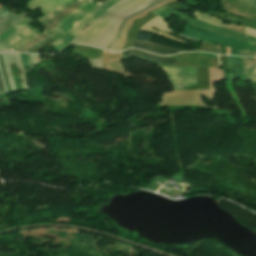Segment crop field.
Masks as SVG:
<instances>
[{
    "label": "crop field",
    "instance_id": "crop-field-1",
    "mask_svg": "<svg viewBox=\"0 0 256 256\" xmlns=\"http://www.w3.org/2000/svg\"><path fill=\"white\" fill-rule=\"evenodd\" d=\"M75 1L76 0H30L28 7L33 11L39 8L43 10L44 15L37 19L43 25ZM84 1L86 2L63 18L54 29L49 31L45 29L43 33L56 40L50 46L60 51L66 48L67 44L86 25L97 19L107 8L111 7L119 0H107L102 4L94 0ZM43 33L29 25L3 42L17 51Z\"/></svg>",
    "mask_w": 256,
    "mask_h": 256
},
{
    "label": "crop field",
    "instance_id": "crop-field-2",
    "mask_svg": "<svg viewBox=\"0 0 256 256\" xmlns=\"http://www.w3.org/2000/svg\"><path fill=\"white\" fill-rule=\"evenodd\" d=\"M151 0H126L112 9L102 21L92 28L79 42L105 48L114 38L121 21L128 15L147 6Z\"/></svg>",
    "mask_w": 256,
    "mask_h": 256
},
{
    "label": "crop field",
    "instance_id": "crop-field-3",
    "mask_svg": "<svg viewBox=\"0 0 256 256\" xmlns=\"http://www.w3.org/2000/svg\"><path fill=\"white\" fill-rule=\"evenodd\" d=\"M152 12L156 13L157 15L161 16L162 18H164L166 20L169 19L171 16H173L176 13L181 16V20H180L181 23L188 24L191 27H194V28H197L200 30H204V31L214 32V33H218V34H224V35H228L231 37L247 40L246 35L243 33H239V32L231 31L228 29L209 25V24L204 23L198 19L184 15L166 5L157 10H154Z\"/></svg>",
    "mask_w": 256,
    "mask_h": 256
},
{
    "label": "crop field",
    "instance_id": "crop-field-4",
    "mask_svg": "<svg viewBox=\"0 0 256 256\" xmlns=\"http://www.w3.org/2000/svg\"><path fill=\"white\" fill-rule=\"evenodd\" d=\"M184 29L186 30L182 33L184 35L212 43L224 44L231 47V55H239V48L246 49L248 51H256L255 45L245 41L209 32H201L188 26H186Z\"/></svg>",
    "mask_w": 256,
    "mask_h": 256
},
{
    "label": "crop field",
    "instance_id": "crop-field-5",
    "mask_svg": "<svg viewBox=\"0 0 256 256\" xmlns=\"http://www.w3.org/2000/svg\"><path fill=\"white\" fill-rule=\"evenodd\" d=\"M159 67L166 71L174 90H180L189 85L196 84V67H180L174 65L169 67L159 65Z\"/></svg>",
    "mask_w": 256,
    "mask_h": 256
},
{
    "label": "crop field",
    "instance_id": "crop-field-6",
    "mask_svg": "<svg viewBox=\"0 0 256 256\" xmlns=\"http://www.w3.org/2000/svg\"><path fill=\"white\" fill-rule=\"evenodd\" d=\"M223 10L256 21V0H222Z\"/></svg>",
    "mask_w": 256,
    "mask_h": 256
},
{
    "label": "crop field",
    "instance_id": "crop-field-7",
    "mask_svg": "<svg viewBox=\"0 0 256 256\" xmlns=\"http://www.w3.org/2000/svg\"><path fill=\"white\" fill-rule=\"evenodd\" d=\"M25 13L15 14L14 12L10 11L6 7L0 8V34L4 32L5 30L12 27L15 23L25 18Z\"/></svg>",
    "mask_w": 256,
    "mask_h": 256
},
{
    "label": "crop field",
    "instance_id": "crop-field-8",
    "mask_svg": "<svg viewBox=\"0 0 256 256\" xmlns=\"http://www.w3.org/2000/svg\"><path fill=\"white\" fill-rule=\"evenodd\" d=\"M150 27H153V28H156V29H159V30H162L164 32L172 34L173 31H171L169 29V24L166 23L162 18H160L158 16L156 18H154L152 21L147 22L141 29L145 30V31H148V32L160 34V35H163V36H166V37L178 40V41H182V40H179V39H177V38H175V37H173L169 34L160 32V31L152 29ZM182 42H184V41H182ZM187 43H191V42H187Z\"/></svg>",
    "mask_w": 256,
    "mask_h": 256
},
{
    "label": "crop field",
    "instance_id": "crop-field-9",
    "mask_svg": "<svg viewBox=\"0 0 256 256\" xmlns=\"http://www.w3.org/2000/svg\"><path fill=\"white\" fill-rule=\"evenodd\" d=\"M134 47L147 50L152 53L161 54V55H170V54L181 52V50L171 49V48L159 46L156 44H152V43L140 41V40H137Z\"/></svg>",
    "mask_w": 256,
    "mask_h": 256
},
{
    "label": "crop field",
    "instance_id": "crop-field-10",
    "mask_svg": "<svg viewBox=\"0 0 256 256\" xmlns=\"http://www.w3.org/2000/svg\"><path fill=\"white\" fill-rule=\"evenodd\" d=\"M126 56L140 57V58L152 60V61L159 62V63H165V64H173L176 61H178L177 59H171V58H166V57H162V56H157V55H154V54H151L148 52L139 51V50H135V49H129L126 53Z\"/></svg>",
    "mask_w": 256,
    "mask_h": 256
},
{
    "label": "crop field",
    "instance_id": "crop-field-11",
    "mask_svg": "<svg viewBox=\"0 0 256 256\" xmlns=\"http://www.w3.org/2000/svg\"><path fill=\"white\" fill-rule=\"evenodd\" d=\"M244 73L247 80L256 82V61L254 57H241Z\"/></svg>",
    "mask_w": 256,
    "mask_h": 256
},
{
    "label": "crop field",
    "instance_id": "crop-field-12",
    "mask_svg": "<svg viewBox=\"0 0 256 256\" xmlns=\"http://www.w3.org/2000/svg\"><path fill=\"white\" fill-rule=\"evenodd\" d=\"M163 1H165V0H153V1L149 2V4H151L150 6L144 8V9H142V10L132 14L131 16L127 17L126 19H124L122 21V23L120 24L119 28H118V31H117L116 36H115V39L106 47V49L111 50L112 47L118 42L119 37L121 35V32L123 30V27H124L125 23L127 22V20H129L131 17H133V16H135V15L141 13V12H144V11L154 7L155 5H157V4H159V3L163 2Z\"/></svg>",
    "mask_w": 256,
    "mask_h": 256
},
{
    "label": "crop field",
    "instance_id": "crop-field-13",
    "mask_svg": "<svg viewBox=\"0 0 256 256\" xmlns=\"http://www.w3.org/2000/svg\"><path fill=\"white\" fill-rule=\"evenodd\" d=\"M33 22L34 21L29 16L26 17L25 19H23L19 23L15 24L12 28H10L9 30H7L4 33H2L0 35V40H2V41L5 40L6 38L11 36L12 34L16 33L17 31H19L20 29H22L26 25H28L30 23H33Z\"/></svg>",
    "mask_w": 256,
    "mask_h": 256
},
{
    "label": "crop field",
    "instance_id": "crop-field-14",
    "mask_svg": "<svg viewBox=\"0 0 256 256\" xmlns=\"http://www.w3.org/2000/svg\"><path fill=\"white\" fill-rule=\"evenodd\" d=\"M83 2L84 1H82V0H77L72 6L65 9L62 13H60L58 16H56L54 19H52L50 22H48L46 25H44L46 27V29L49 30L50 28H52L54 25H56V23L60 19L65 17L67 14H69L71 11H73L75 8H77L79 5H81Z\"/></svg>",
    "mask_w": 256,
    "mask_h": 256
},
{
    "label": "crop field",
    "instance_id": "crop-field-15",
    "mask_svg": "<svg viewBox=\"0 0 256 256\" xmlns=\"http://www.w3.org/2000/svg\"><path fill=\"white\" fill-rule=\"evenodd\" d=\"M123 1H125V0H121L120 2H118V3H116L114 6H112L111 8L107 9V10L103 13V15H102L100 18H98L97 20H95L92 24H90V25L87 26L82 32H80V33L69 43V45H70V44H73V43H76L79 39H81L93 26H95V25L104 17V15H105L108 11H110L112 8H114L115 6H117L118 4H120V3L123 2ZM69 45H68V46H69Z\"/></svg>",
    "mask_w": 256,
    "mask_h": 256
},
{
    "label": "crop field",
    "instance_id": "crop-field-16",
    "mask_svg": "<svg viewBox=\"0 0 256 256\" xmlns=\"http://www.w3.org/2000/svg\"><path fill=\"white\" fill-rule=\"evenodd\" d=\"M194 15H196V17L204 22L210 23L212 25H217V26H222L224 27V24L222 23V21L220 19H217L215 17L209 16L207 14H201L199 12H195Z\"/></svg>",
    "mask_w": 256,
    "mask_h": 256
},
{
    "label": "crop field",
    "instance_id": "crop-field-17",
    "mask_svg": "<svg viewBox=\"0 0 256 256\" xmlns=\"http://www.w3.org/2000/svg\"><path fill=\"white\" fill-rule=\"evenodd\" d=\"M48 38L46 35H41L40 37H38L36 40H34L33 42H31L30 44H28L27 46H25L24 48L20 49L19 52H30L32 51L34 48H36L37 46H39L40 44L44 43L45 41H47Z\"/></svg>",
    "mask_w": 256,
    "mask_h": 256
},
{
    "label": "crop field",
    "instance_id": "crop-field-18",
    "mask_svg": "<svg viewBox=\"0 0 256 256\" xmlns=\"http://www.w3.org/2000/svg\"><path fill=\"white\" fill-rule=\"evenodd\" d=\"M209 14L215 15V16L220 17V18H223L224 16H227V18H229L230 21L237 22V23H240V24L244 25L243 20L234 16V15H230V14H226V13H222V12L214 11V10H211L209 12Z\"/></svg>",
    "mask_w": 256,
    "mask_h": 256
},
{
    "label": "crop field",
    "instance_id": "crop-field-19",
    "mask_svg": "<svg viewBox=\"0 0 256 256\" xmlns=\"http://www.w3.org/2000/svg\"><path fill=\"white\" fill-rule=\"evenodd\" d=\"M232 58H233V66H234V75H235V77L239 78V73H240L241 80L246 81L245 77H244V74H243L240 57H236L237 62H238V66H239V73H238L237 64H236V58L234 56H232Z\"/></svg>",
    "mask_w": 256,
    "mask_h": 256
},
{
    "label": "crop field",
    "instance_id": "crop-field-20",
    "mask_svg": "<svg viewBox=\"0 0 256 256\" xmlns=\"http://www.w3.org/2000/svg\"><path fill=\"white\" fill-rule=\"evenodd\" d=\"M226 58H227V63H228V68H229V77H230V81H231L234 79L233 71L231 70L232 59H231V56H226Z\"/></svg>",
    "mask_w": 256,
    "mask_h": 256
},
{
    "label": "crop field",
    "instance_id": "crop-field-21",
    "mask_svg": "<svg viewBox=\"0 0 256 256\" xmlns=\"http://www.w3.org/2000/svg\"><path fill=\"white\" fill-rule=\"evenodd\" d=\"M21 55H22L25 71H29L30 70V66H29V62H28V59H27V55L23 54V53H21Z\"/></svg>",
    "mask_w": 256,
    "mask_h": 256
},
{
    "label": "crop field",
    "instance_id": "crop-field-22",
    "mask_svg": "<svg viewBox=\"0 0 256 256\" xmlns=\"http://www.w3.org/2000/svg\"><path fill=\"white\" fill-rule=\"evenodd\" d=\"M244 21H245L246 26L256 30V22L245 20V19H244Z\"/></svg>",
    "mask_w": 256,
    "mask_h": 256
},
{
    "label": "crop field",
    "instance_id": "crop-field-23",
    "mask_svg": "<svg viewBox=\"0 0 256 256\" xmlns=\"http://www.w3.org/2000/svg\"><path fill=\"white\" fill-rule=\"evenodd\" d=\"M240 55L243 56H254V52H247L240 49Z\"/></svg>",
    "mask_w": 256,
    "mask_h": 256
},
{
    "label": "crop field",
    "instance_id": "crop-field-24",
    "mask_svg": "<svg viewBox=\"0 0 256 256\" xmlns=\"http://www.w3.org/2000/svg\"><path fill=\"white\" fill-rule=\"evenodd\" d=\"M246 32H247L248 35L256 37V31L255 30H252V29H249V28L246 27Z\"/></svg>",
    "mask_w": 256,
    "mask_h": 256
},
{
    "label": "crop field",
    "instance_id": "crop-field-25",
    "mask_svg": "<svg viewBox=\"0 0 256 256\" xmlns=\"http://www.w3.org/2000/svg\"><path fill=\"white\" fill-rule=\"evenodd\" d=\"M199 55H205V56H208V57L216 58L215 54H212V53L201 52Z\"/></svg>",
    "mask_w": 256,
    "mask_h": 256
},
{
    "label": "crop field",
    "instance_id": "crop-field-26",
    "mask_svg": "<svg viewBox=\"0 0 256 256\" xmlns=\"http://www.w3.org/2000/svg\"><path fill=\"white\" fill-rule=\"evenodd\" d=\"M27 55H28V59H29V62H30L31 70H35V67H34V64L32 62V59H31L30 55L29 54H27Z\"/></svg>",
    "mask_w": 256,
    "mask_h": 256
},
{
    "label": "crop field",
    "instance_id": "crop-field-27",
    "mask_svg": "<svg viewBox=\"0 0 256 256\" xmlns=\"http://www.w3.org/2000/svg\"><path fill=\"white\" fill-rule=\"evenodd\" d=\"M0 46L6 50H12L10 47H8L7 45L3 44L2 42H0ZM14 51V50H12Z\"/></svg>",
    "mask_w": 256,
    "mask_h": 256
},
{
    "label": "crop field",
    "instance_id": "crop-field-28",
    "mask_svg": "<svg viewBox=\"0 0 256 256\" xmlns=\"http://www.w3.org/2000/svg\"><path fill=\"white\" fill-rule=\"evenodd\" d=\"M247 38H248V40H249L250 42L256 43V38H255V37H251V36H248V35H247Z\"/></svg>",
    "mask_w": 256,
    "mask_h": 256
},
{
    "label": "crop field",
    "instance_id": "crop-field-29",
    "mask_svg": "<svg viewBox=\"0 0 256 256\" xmlns=\"http://www.w3.org/2000/svg\"><path fill=\"white\" fill-rule=\"evenodd\" d=\"M3 93H5V92H4V88H3L1 78H0V94H3Z\"/></svg>",
    "mask_w": 256,
    "mask_h": 256
}]
</instances>
